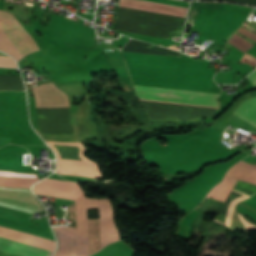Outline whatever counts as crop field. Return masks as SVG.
<instances>
[{
	"instance_id": "obj_11",
	"label": "crop field",
	"mask_w": 256,
	"mask_h": 256,
	"mask_svg": "<svg viewBox=\"0 0 256 256\" xmlns=\"http://www.w3.org/2000/svg\"><path fill=\"white\" fill-rule=\"evenodd\" d=\"M234 113L256 127V98L245 101Z\"/></svg>"
},
{
	"instance_id": "obj_17",
	"label": "crop field",
	"mask_w": 256,
	"mask_h": 256,
	"mask_svg": "<svg viewBox=\"0 0 256 256\" xmlns=\"http://www.w3.org/2000/svg\"><path fill=\"white\" fill-rule=\"evenodd\" d=\"M246 55V54H245ZM245 57V56H244ZM251 59V56L246 55V57L243 59L244 62L248 63V61Z\"/></svg>"
},
{
	"instance_id": "obj_2",
	"label": "crop field",
	"mask_w": 256,
	"mask_h": 256,
	"mask_svg": "<svg viewBox=\"0 0 256 256\" xmlns=\"http://www.w3.org/2000/svg\"><path fill=\"white\" fill-rule=\"evenodd\" d=\"M101 249L107 245L104 199L99 200ZM79 256H89L86 198L75 200ZM58 249L54 256H78L76 229L68 226L53 227Z\"/></svg>"
},
{
	"instance_id": "obj_8",
	"label": "crop field",
	"mask_w": 256,
	"mask_h": 256,
	"mask_svg": "<svg viewBox=\"0 0 256 256\" xmlns=\"http://www.w3.org/2000/svg\"><path fill=\"white\" fill-rule=\"evenodd\" d=\"M0 251L14 253L22 256H50L52 254V251L44 250L41 248L15 242L1 237ZM5 252H0V256H18Z\"/></svg>"
},
{
	"instance_id": "obj_3",
	"label": "crop field",
	"mask_w": 256,
	"mask_h": 256,
	"mask_svg": "<svg viewBox=\"0 0 256 256\" xmlns=\"http://www.w3.org/2000/svg\"><path fill=\"white\" fill-rule=\"evenodd\" d=\"M133 86L135 88V94L137 98H142V99H152V100L216 106L217 97L219 95L217 93L201 92V91L169 89V88L148 87V86H138V85H133ZM142 99H138V100H142ZM152 100H143V101H152ZM162 101H153V102H162ZM172 102H163V103H172ZM182 103H173V104H182ZM192 104H182V105H192ZM202 105H192V106H202ZM212 106H202V107H212ZM212 108H216V107H212Z\"/></svg>"
},
{
	"instance_id": "obj_5",
	"label": "crop field",
	"mask_w": 256,
	"mask_h": 256,
	"mask_svg": "<svg viewBox=\"0 0 256 256\" xmlns=\"http://www.w3.org/2000/svg\"><path fill=\"white\" fill-rule=\"evenodd\" d=\"M0 205L31 213L41 210L30 189L7 188L0 186Z\"/></svg>"
},
{
	"instance_id": "obj_9",
	"label": "crop field",
	"mask_w": 256,
	"mask_h": 256,
	"mask_svg": "<svg viewBox=\"0 0 256 256\" xmlns=\"http://www.w3.org/2000/svg\"><path fill=\"white\" fill-rule=\"evenodd\" d=\"M37 181H39L38 174L16 173L0 170V185L30 187Z\"/></svg>"
},
{
	"instance_id": "obj_14",
	"label": "crop field",
	"mask_w": 256,
	"mask_h": 256,
	"mask_svg": "<svg viewBox=\"0 0 256 256\" xmlns=\"http://www.w3.org/2000/svg\"><path fill=\"white\" fill-rule=\"evenodd\" d=\"M237 32H239V33H241V34H243V35H245V36H247V37L256 41V34L250 32V31H248V30H246L242 27Z\"/></svg>"
},
{
	"instance_id": "obj_12",
	"label": "crop field",
	"mask_w": 256,
	"mask_h": 256,
	"mask_svg": "<svg viewBox=\"0 0 256 256\" xmlns=\"http://www.w3.org/2000/svg\"><path fill=\"white\" fill-rule=\"evenodd\" d=\"M229 43H231L232 45H234L235 47H237L238 49H240L243 52H245L246 50H248L249 48L254 46L253 44H251L250 42L246 41L245 39H243L242 37L238 36L235 33L232 36V38H231Z\"/></svg>"
},
{
	"instance_id": "obj_16",
	"label": "crop field",
	"mask_w": 256,
	"mask_h": 256,
	"mask_svg": "<svg viewBox=\"0 0 256 256\" xmlns=\"http://www.w3.org/2000/svg\"><path fill=\"white\" fill-rule=\"evenodd\" d=\"M10 139L5 137H0V147L9 143Z\"/></svg>"
},
{
	"instance_id": "obj_10",
	"label": "crop field",
	"mask_w": 256,
	"mask_h": 256,
	"mask_svg": "<svg viewBox=\"0 0 256 256\" xmlns=\"http://www.w3.org/2000/svg\"><path fill=\"white\" fill-rule=\"evenodd\" d=\"M225 178L244 180L256 184V166L241 161L229 170Z\"/></svg>"
},
{
	"instance_id": "obj_6",
	"label": "crop field",
	"mask_w": 256,
	"mask_h": 256,
	"mask_svg": "<svg viewBox=\"0 0 256 256\" xmlns=\"http://www.w3.org/2000/svg\"><path fill=\"white\" fill-rule=\"evenodd\" d=\"M35 194L52 195L75 200L84 192L77 183L46 178L33 188Z\"/></svg>"
},
{
	"instance_id": "obj_15",
	"label": "crop field",
	"mask_w": 256,
	"mask_h": 256,
	"mask_svg": "<svg viewBox=\"0 0 256 256\" xmlns=\"http://www.w3.org/2000/svg\"><path fill=\"white\" fill-rule=\"evenodd\" d=\"M247 78L251 80V82L254 84L256 87V71H254L251 75H249Z\"/></svg>"
},
{
	"instance_id": "obj_18",
	"label": "crop field",
	"mask_w": 256,
	"mask_h": 256,
	"mask_svg": "<svg viewBox=\"0 0 256 256\" xmlns=\"http://www.w3.org/2000/svg\"><path fill=\"white\" fill-rule=\"evenodd\" d=\"M57 174H61L58 170L56 171Z\"/></svg>"
},
{
	"instance_id": "obj_1",
	"label": "crop field",
	"mask_w": 256,
	"mask_h": 256,
	"mask_svg": "<svg viewBox=\"0 0 256 256\" xmlns=\"http://www.w3.org/2000/svg\"><path fill=\"white\" fill-rule=\"evenodd\" d=\"M119 7L185 20L186 9L180 6L139 0H120ZM118 8L115 30L170 39L182 33L184 21Z\"/></svg>"
},
{
	"instance_id": "obj_4",
	"label": "crop field",
	"mask_w": 256,
	"mask_h": 256,
	"mask_svg": "<svg viewBox=\"0 0 256 256\" xmlns=\"http://www.w3.org/2000/svg\"><path fill=\"white\" fill-rule=\"evenodd\" d=\"M0 25L21 58L38 50L31 36L24 30L13 14L0 11Z\"/></svg>"
},
{
	"instance_id": "obj_7",
	"label": "crop field",
	"mask_w": 256,
	"mask_h": 256,
	"mask_svg": "<svg viewBox=\"0 0 256 256\" xmlns=\"http://www.w3.org/2000/svg\"><path fill=\"white\" fill-rule=\"evenodd\" d=\"M36 107H67L66 94L58 90L53 82L32 87Z\"/></svg>"
},
{
	"instance_id": "obj_13",
	"label": "crop field",
	"mask_w": 256,
	"mask_h": 256,
	"mask_svg": "<svg viewBox=\"0 0 256 256\" xmlns=\"http://www.w3.org/2000/svg\"><path fill=\"white\" fill-rule=\"evenodd\" d=\"M0 66L17 67L16 63L14 62V60L11 57H9L1 52H0Z\"/></svg>"
}]
</instances>
